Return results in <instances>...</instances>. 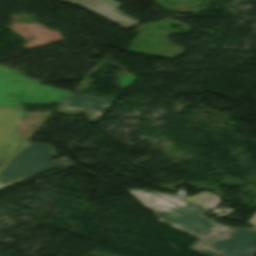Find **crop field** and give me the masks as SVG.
I'll list each match as a JSON object with an SVG mask.
<instances>
[{
    "label": "crop field",
    "instance_id": "8",
    "mask_svg": "<svg viewBox=\"0 0 256 256\" xmlns=\"http://www.w3.org/2000/svg\"><path fill=\"white\" fill-rule=\"evenodd\" d=\"M248 224H252L256 226V213L250 218Z\"/></svg>",
    "mask_w": 256,
    "mask_h": 256
},
{
    "label": "crop field",
    "instance_id": "4",
    "mask_svg": "<svg viewBox=\"0 0 256 256\" xmlns=\"http://www.w3.org/2000/svg\"><path fill=\"white\" fill-rule=\"evenodd\" d=\"M24 107H0V171L26 143L15 128Z\"/></svg>",
    "mask_w": 256,
    "mask_h": 256
},
{
    "label": "crop field",
    "instance_id": "7",
    "mask_svg": "<svg viewBox=\"0 0 256 256\" xmlns=\"http://www.w3.org/2000/svg\"><path fill=\"white\" fill-rule=\"evenodd\" d=\"M191 200H194L200 204H203L207 207H214L216 208L220 202L218 196L211 194L209 192H201L195 196L187 197Z\"/></svg>",
    "mask_w": 256,
    "mask_h": 256
},
{
    "label": "crop field",
    "instance_id": "1",
    "mask_svg": "<svg viewBox=\"0 0 256 256\" xmlns=\"http://www.w3.org/2000/svg\"><path fill=\"white\" fill-rule=\"evenodd\" d=\"M161 223L199 240L189 250L204 256H255L256 228L238 229L218 224L204 214L211 211L179 195L126 190Z\"/></svg>",
    "mask_w": 256,
    "mask_h": 256
},
{
    "label": "crop field",
    "instance_id": "6",
    "mask_svg": "<svg viewBox=\"0 0 256 256\" xmlns=\"http://www.w3.org/2000/svg\"><path fill=\"white\" fill-rule=\"evenodd\" d=\"M115 101L116 99L70 94L60 107L94 111L87 121L89 123H95Z\"/></svg>",
    "mask_w": 256,
    "mask_h": 256
},
{
    "label": "crop field",
    "instance_id": "5",
    "mask_svg": "<svg viewBox=\"0 0 256 256\" xmlns=\"http://www.w3.org/2000/svg\"><path fill=\"white\" fill-rule=\"evenodd\" d=\"M67 3H75L125 29H128L138 23L139 21L130 16L116 10L122 5L112 0H54Z\"/></svg>",
    "mask_w": 256,
    "mask_h": 256
},
{
    "label": "crop field",
    "instance_id": "2",
    "mask_svg": "<svg viewBox=\"0 0 256 256\" xmlns=\"http://www.w3.org/2000/svg\"><path fill=\"white\" fill-rule=\"evenodd\" d=\"M50 145L27 142L0 172V188L31 178L36 174L71 165L67 159L53 161Z\"/></svg>",
    "mask_w": 256,
    "mask_h": 256
},
{
    "label": "crop field",
    "instance_id": "3",
    "mask_svg": "<svg viewBox=\"0 0 256 256\" xmlns=\"http://www.w3.org/2000/svg\"><path fill=\"white\" fill-rule=\"evenodd\" d=\"M70 92L35 83L0 67V106L62 104Z\"/></svg>",
    "mask_w": 256,
    "mask_h": 256
}]
</instances>
